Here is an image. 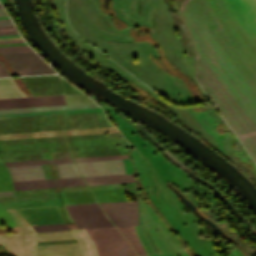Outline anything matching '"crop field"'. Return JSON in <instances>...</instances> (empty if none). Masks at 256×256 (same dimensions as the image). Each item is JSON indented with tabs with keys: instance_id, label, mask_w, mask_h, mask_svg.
Wrapping results in <instances>:
<instances>
[{
	"instance_id": "obj_1",
	"label": "crop field",
	"mask_w": 256,
	"mask_h": 256,
	"mask_svg": "<svg viewBox=\"0 0 256 256\" xmlns=\"http://www.w3.org/2000/svg\"><path fill=\"white\" fill-rule=\"evenodd\" d=\"M91 238L97 256L136 255L133 248L116 227L85 230Z\"/></svg>"
},
{
	"instance_id": "obj_2",
	"label": "crop field",
	"mask_w": 256,
	"mask_h": 256,
	"mask_svg": "<svg viewBox=\"0 0 256 256\" xmlns=\"http://www.w3.org/2000/svg\"><path fill=\"white\" fill-rule=\"evenodd\" d=\"M18 76L55 73L34 51L2 53Z\"/></svg>"
},
{
	"instance_id": "obj_3",
	"label": "crop field",
	"mask_w": 256,
	"mask_h": 256,
	"mask_svg": "<svg viewBox=\"0 0 256 256\" xmlns=\"http://www.w3.org/2000/svg\"><path fill=\"white\" fill-rule=\"evenodd\" d=\"M100 205L116 226L138 225L137 201L106 202L100 203Z\"/></svg>"
},
{
	"instance_id": "obj_4",
	"label": "crop field",
	"mask_w": 256,
	"mask_h": 256,
	"mask_svg": "<svg viewBox=\"0 0 256 256\" xmlns=\"http://www.w3.org/2000/svg\"><path fill=\"white\" fill-rule=\"evenodd\" d=\"M56 166L59 178L80 176L74 163L56 164ZM8 169L10 170L12 181L45 179L41 165L15 166L8 167Z\"/></svg>"
},
{
	"instance_id": "obj_5",
	"label": "crop field",
	"mask_w": 256,
	"mask_h": 256,
	"mask_svg": "<svg viewBox=\"0 0 256 256\" xmlns=\"http://www.w3.org/2000/svg\"><path fill=\"white\" fill-rule=\"evenodd\" d=\"M82 176L126 173L123 160L75 163Z\"/></svg>"
},
{
	"instance_id": "obj_6",
	"label": "crop field",
	"mask_w": 256,
	"mask_h": 256,
	"mask_svg": "<svg viewBox=\"0 0 256 256\" xmlns=\"http://www.w3.org/2000/svg\"><path fill=\"white\" fill-rule=\"evenodd\" d=\"M38 106L65 104L63 95L31 97ZM29 97L0 99V108L37 106Z\"/></svg>"
},
{
	"instance_id": "obj_7",
	"label": "crop field",
	"mask_w": 256,
	"mask_h": 256,
	"mask_svg": "<svg viewBox=\"0 0 256 256\" xmlns=\"http://www.w3.org/2000/svg\"><path fill=\"white\" fill-rule=\"evenodd\" d=\"M14 190L85 185L82 177L12 182Z\"/></svg>"
},
{
	"instance_id": "obj_8",
	"label": "crop field",
	"mask_w": 256,
	"mask_h": 256,
	"mask_svg": "<svg viewBox=\"0 0 256 256\" xmlns=\"http://www.w3.org/2000/svg\"><path fill=\"white\" fill-rule=\"evenodd\" d=\"M75 222L108 220L98 203L66 205Z\"/></svg>"
},
{
	"instance_id": "obj_9",
	"label": "crop field",
	"mask_w": 256,
	"mask_h": 256,
	"mask_svg": "<svg viewBox=\"0 0 256 256\" xmlns=\"http://www.w3.org/2000/svg\"><path fill=\"white\" fill-rule=\"evenodd\" d=\"M87 185L136 182L133 174L84 177Z\"/></svg>"
},
{
	"instance_id": "obj_10",
	"label": "crop field",
	"mask_w": 256,
	"mask_h": 256,
	"mask_svg": "<svg viewBox=\"0 0 256 256\" xmlns=\"http://www.w3.org/2000/svg\"><path fill=\"white\" fill-rule=\"evenodd\" d=\"M118 228L125 235V237L131 242V244L134 246L138 255H146L137 236H136V231H135L134 226L118 227Z\"/></svg>"
},
{
	"instance_id": "obj_11",
	"label": "crop field",
	"mask_w": 256,
	"mask_h": 256,
	"mask_svg": "<svg viewBox=\"0 0 256 256\" xmlns=\"http://www.w3.org/2000/svg\"><path fill=\"white\" fill-rule=\"evenodd\" d=\"M59 109H66V106L65 105H59V106H45V107L1 109L0 114H2V113H16V112L45 111V110H59Z\"/></svg>"
},
{
	"instance_id": "obj_12",
	"label": "crop field",
	"mask_w": 256,
	"mask_h": 256,
	"mask_svg": "<svg viewBox=\"0 0 256 256\" xmlns=\"http://www.w3.org/2000/svg\"><path fill=\"white\" fill-rule=\"evenodd\" d=\"M64 162H73V161L71 158H65V159H51V160H37V161L9 162V163H4V164L6 166H15V165L64 163Z\"/></svg>"
},
{
	"instance_id": "obj_13",
	"label": "crop field",
	"mask_w": 256,
	"mask_h": 256,
	"mask_svg": "<svg viewBox=\"0 0 256 256\" xmlns=\"http://www.w3.org/2000/svg\"><path fill=\"white\" fill-rule=\"evenodd\" d=\"M66 110L59 111H45V112H31V113H17V114H2L0 118H9V117H25V116H41V115H57L65 114Z\"/></svg>"
},
{
	"instance_id": "obj_14",
	"label": "crop field",
	"mask_w": 256,
	"mask_h": 256,
	"mask_svg": "<svg viewBox=\"0 0 256 256\" xmlns=\"http://www.w3.org/2000/svg\"><path fill=\"white\" fill-rule=\"evenodd\" d=\"M116 158H128L127 154L120 155H106V156H93V157H79L73 158L75 162L80 161H92V160H104V159H116Z\"/></svg>"
},
{
	"instance_id": "obj_15",
	"label": "crop field",
	"mask_w": 256,
	"mask_h": 256,
	"mask_svg": "<svg viewBox=\"0 0 256 256\" xmlns=\"http://www.w3.org/2000/svg\"><path fill=\"white\" fill-rule=\"evenodd\" d=\"M35 232L70 229L66 224L32 226Z\"/></svg>"
},
{
	"instance_id": "obj_16",
	"label": "crop field",
	"mask_w": 256,
	"mask_h": 256,
	"mask_svg": "<svg viewBox=\"0 0 256 256\" xmlns=\"http://www.w3.org/2000/svg\"><path fill=\"white\" fill-rule=\"evenodd\" d=\"M79 229L114 226L110 221L76 223Z\"/></svg>"
},
{
	"instance_id": "obj_17",
	"label": "crop field",
	"mask_w": 256,
	"mask_h": 256,
	"mask_svg": "<svg viewBox=\"0 0 256 256\" xmlns=\"http://www.w3.org/2000/svg\"><path fill=\"white\" fill-rule=\"evenodd\" d=\"M32 50L28 46H20V47H4L0 48V52H9V51H25Z\"/></svg>"
},
{
	"instance_id": "obj_18",
	"label": "crop field",
	"mask_w": 256,
	"mask_h": 256,
	"mask_svg": "<svg viewBox=\"0 0 256 256\" xmlns=\"http://www.w3.org/2000/svg\"><path fill=\"white\" fill-rule=\"evenodd\" d=\"M102 111L101 108H92V109H76V110H68L67 114L73 113H85V112H97Z\"/></svg>"
},
{
	"instance_id": "obj_19",
	"label": "crop field",
	"mask_w": 256,
	"mask_h": 256,
	"mask_svg": "<svg viewBox=\"0 0 256 256\" xmlns=\"http://www.w3.org/2000/svg\"><path fill=\"white\" fill-rule=\"evenodd\" d=\"M68 109L98 107L96 103L67 105Z\"/></svg>"
},
{
	"instance_id": "obj_20",
	"label": "crop field",
	"mask_w": 256,
	"mask_h": 256,
	"mask_svg": "<svg viewBox=\"0 0 256 256\" xmlns=\"http://www.w3.org/2000/svg\"><path fill=\"white\" fill-rule=\"evenodd\" d=\"M3 76H9V75L7 74L5 69L3 68L2 64L0 63V77H3Z\"/></svg>"
},
{
	"instance_id": "obj_21",
	"label": "crop field",
	"mask_w": 256,
	"mask_h": 256,
	"mask_svg": "<svg viewBox=\"0 0 256 256\" xmlns=\"http://www.w3.org/2000/svg\"><path fill=\"white\" fill-rule=\"evenodd\" d=\"M13 195L12 191L0 192V196Z\"/></svg>"
},
{
	"instance_id": "obj_22",
	"label": "crop field",
	"mask_w": 256,
	"mask_h": 256,
	"mask_svg": "<svg viewBox=\"0 0 256 256\" xmlns=\"http://www.w3.org/2000/svg\"><path fill=\"white\" fill-rule=\"evenodd\" d=\"M17 42H23V40H15V41H0V44H2V43H17Z\"/></svg>"
},
{
	"instance_id": "obj_23",
	"label": "crop field",
	"mask_w": 256,
	"mask_h": 256,
	"mask_svg": "<svg viewBox=\"0 0 256 256\" xmlns=\"http://www.w3.org/2000/svg\"><path fill=\"white\" fill-rule=\"evenodd\" d=\"M0 16H7L3 8H0Z\"/></svg>"
},
{
	"instance_id": "obj_24",
	"label": "crop field",
	"mask_w": 256,
	"mask_h": 256,
	"mask_svg": "<svg viewBox=\"0 0 256 256\" xmlns=\"http://www.w3.org/2000/svg\"><path fill=\"white\" fill-rule=\"evenodd\" d=\"M13 36H20L19 34H12V35H0V37H13Z\"/></svg>"
},
{
	"instance_id": "obj_25",
	"label": "crop field",
	"mask_w": 256,
	"mask_h": 256,
	"mask_svg": "<svg viewBox=\"0 0 256 256\" xmlns=\"http://www.w3.org/2000/svg\"><path fill=\"white\" fill-rule=\"evenodd\" d=\"M5 25H13L12 22H4L0 23V26H5Z\"/></svg>"
},
{
	"instance_id": "obj_26",
	"label": "crop field",
	"mask_w": 256,
	"mask_h": 256,
	"mask_svg": "<svg viewBox=\"0 0 256 256\" xmlns=\"http://www.w3.org/2000/svg\"><path fill=\"white\" fill-rule=\"evenodd\" d=\"M12 33H18V32L17 31L0 32V34H12Z\"/></svg>"
},
{
	"instance_id": "obj_27",
	"label": "crop field",
	"mask_w": 256,
	"mask_h": 256,
	"mask_svg": "<svg viewBox=\"0 0 256 256\" xmlns=\"http://www.w3.org/2000/svg\"><path fill=\"white\" fill-rule=\"evenodd\" d=\"M9 30H16V29L15 28L0 29V31H9Z\"/></svg>"
},
{
	"instance_id": "obj_28",
	"label": "crop field",
	"mask_w": 256,
	"mask_h": 256,
	"mask_svg": "<svg viewBox=\"0 0 256 256\" xmlns=\"http://www.w3.org/2000/svg\"><path fill=\"white\" fill-rule=\"evenodd\" d=\"M4 21H11L10 19H3V20H0V22H4Z\"/></svg>"
},
{
	"instance_id": "obj_29",
	"label": "crop field",
	"mask_w": 256,
	"mask_h": 256,
	"mask_svg": "<svg viewBox=\"0 0 256 256\" xmlns=\"http://www.w3.org/2000/svg\"><path fill=\"white\" fill-rule=\"evenodd\" d=\"M0 2H1V3L3 4V6H4L6 0H0Z\"/></svg>"
},
{
	"instance_id": "obj_30",
	"label": "crop field",
	"mask_w": 256,
	"mask_h": 256,
	"mask_svg": "<svg viewBox=\"0 0 256 256\" xmlns=\"http://www.w3.org/2000/svg\"><path fill=\"white\" fill-rule=\"evenodd\" d=\"M8 27H14V26H5V27H0V28H8Z\"/></svg>"
},
{
	"instance_id": "obj_31",
	"label": "crop field",
	"mask_w": 256,
	"mask_h": 256,
	"mask_svg": "<svg viewBox=\"0 0 256 256\" xmlns=\"http://www.w3.org/2000/svg\"><path fill=\"white\" fill-rule=\"evenodd\" d=\"M2 18H9V17H0V19H2Z\"/></svg>"
},
{
	"instance_id": "obj_32",
	"label": "crop field",
	"mask_w": 256,
	"mask_h": 256,
	"mask_svg": "<svg viewBox=\"0 0 256 256\" xmlns=\"http://www.w3.org/2000/svg\"><path fill=\"white\" fill-rule=\"evenodd\" d=\"M0 7H2V5H0Z\"/></svg>"
}]
</instances>
